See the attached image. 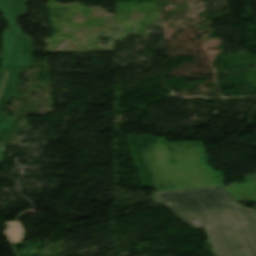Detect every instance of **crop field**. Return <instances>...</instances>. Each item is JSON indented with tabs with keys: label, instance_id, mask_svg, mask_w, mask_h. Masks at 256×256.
<instances>
[{
	"label": "crop field",
	"instance_id": "crop-field-1",
	"mask_svg": "<svg viewBox=\"0 0 256 256\" xmlns=\"http://www.w3.org/2000/svg\"><path fill=\"white\" fill-rule=\"evenodd\" d=\"M152 200L205 232L216 256H256V215L222 187L154 192Z\"/></svg>",
	"mask_w": 256,
	"mask_h": 256
},
{
	"label": "crop field",
	"instance_id": "crop-field-2",
	"mask_svg": "<svg viewBox=\"0 0 256 256\" xmlns=\"http://www.w3.org/2000/svg\"><path fill=\"white\" fill-rule=\"evenodd\" d=\"M26 0H0V10L12 30L4 31L0 70L8 71L0 93V144L15 128L16 116L1 112L5 101L17 96L18 73L31 66L32 43L15 25V17L26 14Z\"/></svg>",
	"mask_w": 256,
	"mask_h": 256
},
{
	"label": "crop field",
	"instance_id": "crop-field-3",
	"mask_svg": "<svg viewBox=\"0 0 256 256\" xmlns=\"http://www.w3.org/2000/svg\"><path fill=\"white\" fill-rule=\"evenodd\" d=\"M7 72L0 71V90Z\"/></svg>",
	"mask_w": 256,
	"mask_h": 256
}]
</instances>
